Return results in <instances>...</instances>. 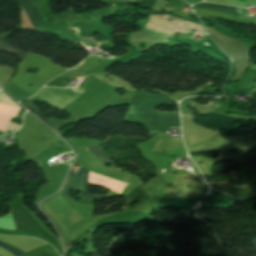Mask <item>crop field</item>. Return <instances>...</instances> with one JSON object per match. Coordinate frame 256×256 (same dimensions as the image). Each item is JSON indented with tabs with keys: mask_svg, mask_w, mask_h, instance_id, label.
Instances as JSON below:
<instances>
[{
	"mask_svg": "<svg viewBox=\"0 0 256 256\" xmlns=\"http://www.w3.org/2000/svg\"><path fill=\"white\" fill-rule=\"evenodd\" d=\"M197 8L236 15V7L201 3Z\"/></svg>",
	"mask_w": 256,
	"mask_h": 256,
	"instance_id": "obj_4",
	"label": "crop field"
},
{
	"mask_svg": "<svg viewBox=\"0 0 256 256\" xmlns=\"http://www.w3.org/2000/svg\"><path fill=\"white\" fill-rule=\"evenodd\" d=\"M17 2L19 6H21L26 12L28 18L30 19L36 30L41 27L44 21L37 9L35 8L34 4L30 0H17Z\"/></svg>",
	"mask_w": 256,
	"mask_h": 256,
	"instance_id": "obj_3",
	"label": "crop field"
},
{
	"mask_svg": "<svg viewBox=\"0 0 256 256\" xmlns=\"http://www.w3.org/2000/svg\"><path fill=\"white\" fill-rule=\"evenodd\" d=\"M0 50L12 52V53L18 55L22 60L27 56V54H25V53H23V52H21L17 49H14V48L10 47L6 43L3 35H0Z\"/></svg>",
	"mask_w": 256,
	"mask_h": 256,
	"instance_id": "obj_5",
	"label": "crop field"
},
{
	"mask_svg": "<svg viewBox=\"0 0 256 256\" xmlns=\"http://www.w3.org/2000/svg\"><path fill=\"white\" fill-rule=\"evenodd\" d=\"M0 247H2V248H4V249H6V250L12 252L15 256H19V255H21V254H23V253L28 252V251H26V250H24V249H21V248H19V247H16V246H14V245H12V244H9V243H7V242H5V241H2V240H0Z\"/></svg>",
	"mask_w": 256,
	"mask_h": 256,
	"instance_id": "obj_6",
	"label": "crop field"
},
{
	"mask_svg": "<svg viewBox=\"0 0 256 256\" xmlns=\"http://www.w3.org/2000/svg\"><path fill=\"white\" fill-rule=\"evenodd\" d=\"M0 256H2V255H0Z\"/></svg>",
	"mask_w": 256,
	"mask_h": 256,
	"instance_id": "obj_8",
	"label": "crop field"
},
{
	"mask_svg": "<svg viewBox=\"0 0 256 256\" xmlns=\"http://www.w3.org/2000/svg\"><path fill=\"white\" fill-rule=\"evenodd\" d=\"M142 101L135 104L138 116L127 115L126 120L145 124L147 130H165L170 126L180 127L178 115L153 113L152 108L160 104L177 103L173 100L150 92H137Z\"/></svg>",
	"mask_w": 256,
	"mask_h": 256,
	"instance_id": "obj_1",
	"label": "crop field"
},
{
	"mask_svg": "<svg viewBox=\"0 0 256 256\" xmlns=\"http://www.w3.org/2000/svg\"><path fill=\"white\" fill-rule=\"evenodd\" d=\"M144 30L148 31V32H152V33L158 34V35H162V36H165V37L169 36V35H166V34H163V33H160V32H157V31L145 28V27H144Z\"/></svg>",
	"mask_w": 256,
	"mask_h": 256,
	"instance_id": "obj_7",
	"label": "crop field"
},
{
	"mask_svg": "<svg viewBox=\"0 0 256 256\" xmlns=\"http://www.w3.org/2000/svg\"><path fill=\"white\" fill-rule=\"evenodd\" d=\"M87 148L104 165H108V164L113 163L111 160H109L104 155L103 151L100 150L101 146H93V147H87ZM87 175H88V169H79V171L76 174L71 175L63 195H69L72 188L82 184L81 193L79 194L80 198H84V199H103V197H107L106 195L88 194L87 184H86Z\"/></svg>",
	"mask_w": 256,
	"mask_h": 256,
	"instance_id": "obj_2",
	"label": "crop field"
}]
</instances>
